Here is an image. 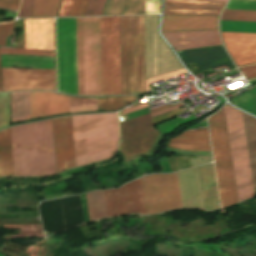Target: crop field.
<instances>
[{"label": "crop field", "instance_id": "crop-field-1", "mask_svg": "<svg viewBox=\"0 0 256 256\" xmlns=\"http://www.w3.org/2000/svg\"><path fill=\"white\" fill-rule=\"evenodd\" d=\"M15 176L56 174L52 119L11 128Z\"/></svg>", "mask_w": 256, "mask_h": 256}, {"label": "crop field", "instance_id": "crop-field-2", "mask_svg": "<svg viewBox=\"0 0 256 256\" xmlns=\"http://www.w3.org/2000/svg\"><path fill=\"white\" fill-rule=\"evenodd\" d=\"M76 167L112 158L119 131L116 113L72 116Z\"/></svg>", "mask_w": 256, "mask_h": 256}, {"label": "crop field", "instance_id": "crop-field-3", "mask_svg": "<svg viewBox=\"0 0 256 256\" xmlns=\"http://www.w3.org/2000/svg\"><path fill=\"white\" fill-rule=\"evenodd\" d=\"M122 95L145 92L143 16L119 17Z\"/></svg>", "mask_w": 256, "mask_h": 256}, {"label": "crop field", "instance_id": "crop-field-4", "mask_svg": "<svg viewBox=\"0 0 256 256\" xmlns=\"http://www.w3.org/2000/svg\"><path fill=\"white\" fill-rule=\"evenodd\" d=\"M78 95H102L99 18H76Z\"/></svg>", "mask_w": 256, "mask_h": 256}, {"label": "crop field", "instance_id": "crop-field-5", "mask_svg": "<svg viewBox=\"0 0 256 256\" xmlns=\"http://www.w3.org/2000/svg\"><path fill=\"white\" fill-rule=\"evenodd\" d=\"M222 207L238 202L223 108L208 119Z\"/></svg>", "mask_w": 256, "mask_h": 256}, {"label": "crop field", "instance_id": "crop-field-6", "mask_svg": "<svg viewBox=\"0 0 256 256\" xmlns=\"http://www.w3.org/2000/svg\"><path fill=\"white\" fill-rule=\"evenodd\" d=\"M239 202L255 195L242 113L224 106Z\"/></svg>", "mask_w": 256, "mask_h": 256}, {"label": "crop field", "instance_id": "crop-field-7", "mask_svg": "<svg viewBox=\"0 0 256 256\" xmlns=\"http://www.w3.org/2000/svg\"><path fill=\"white\" fill-rule=\"evenodd\" d=\"M58 91L77 95L75 18L56 19Z\"/></svg>", "mask_w": 256, "mask_h": 256}, {"label": "crop field", "instance_id": "crop-field-8", "mask_svg": "<svg viewBox=\"0 0 256 256\" xmlns=\"http://www.w3.org/2000/svg\"><path fill=\"white\" fill-rule=\"evenodd\" d=\"M103 95L121 94L118 17H100Z\"/></svg>", "mask_w": 256, "mask_h": 256}, {"label": "crop field", "instance_id": "crop-field-9", "mask_svg": "<svg viewBox=\"0 0 256 256\" xmlns=\"http://www.w3.org/2000/svg\"><path fill=\"white\" fill-rule=\"evenodd\" d=\"M141 181L147 214L182 208L176 173L152 174Z\"/></svg>", "mask_w": 256, "mask_h": 256}, {"label": "crop field", "instance_id": "crop-field-10", "mask_svg": "<svg viewBox=\"0 0 256 256\" xmlns=\"http://www.w3.org/2000/svg\"><path fill=\"white\" fill-rule=\"evenodd\" d=\"M167 107L170 105L151 109L150 113ZM150 113L121 123L122 144L120 150L124 157L149 150L160 135V132L152 125Z\"/></svg>", "mask_w": 256, "mask_h": 256}, {"label": "crop field", "instance_id": "crop-field-11", "mask_svg": "<svg viewBox=\"0 0 256 256\" xmlns=\"http://www.w3.org/2000/svg\"><path fill=\"white\" fill-rule=\"evenodd\" d=\"M3 91H55L54 70L2 68Z\"/></svg>", "mask_w": 256, "mask_h": 256}, {"label": "crop field", "instance_id": "crop-field-12", "mask_svg": "<svg viewBox=\"0 0 256 256\" xmlns=\"http://www.w3.org/2000/svg\"><path fill=\"white\" fill-rule=\"evenodd\" d=\"M105 194L109 217L125 213L146 215L140 178Z\"/></svg>", "mask_w": 256, "mask_h": 256}, {"label": "crop field", "instance_id": "crop-field-13", "mask_svg": "<svg viewBox=\"0 0 256 256\" xmlns=\"http://www.w3.org/2000/svg\"><path fill=\"white\" fill-rule=\"evenodd\" d=\"M58 173L75 167L71 116L53 119Z\"/></svg>", "mask_w": 256, "mask_h": 256}, {"label": "crop field", "instance_id": "crop-field-14", "mask_svg": "<svg viewBox=\"0 0 256 256\" xmlns=\"http://www.w3.org/2000/svg\"><path fill=\"white\" fill-rule=\"evenodd\" d=\"M221 35L237 67L256 63V33L221 32Z\"/></svg>", "mask_w": 256, "mask_h": 256}, {"label": "crop field", "instance_id": "crop-field-15", "mask_svg": "<svg viewBox=\"0 0 256 256\" xmlns=\"http://www.w3.org/2000/svg\"><path fill=\"white\" fill-rule=\"evenodd\" d=\"M177 53L185 63L196 62L201 71L224 64H226L230 70L234 69L222 45L179 51Z\"/></svg>", "mask_w": 256, "mask_h": 256}, {"label": "crop field", "instance_id": "crop-field-16", "mask_svg": "<svg viewBox=\"0 0 256 256\" xmlns=\"http://www.w3.org/2000/svg\"><path fill=\"white\" fill-rule=\"evenodd\" d=\"M31 118L69 112L68 97L52 92H30Z\"/></svg>", "mask_w": 256, "mask_h": 256}, {"label": "crop field", "instance_id": "crop-field-17", "mask_svg": "<svg viewBox=\"0 0 256 256\" xmlns=\"http://www.w3.org/2000/svg\"><path fill=\"white\" fill-rule=\"evenodd\" d=\"M26 48L54 50L53 19L25 20Z\"/></svg>", "mask_w": 256, "mask_h": 256}, {"label": "crop field", "instance_id": "crop-field-18", "mask_svg": "<svg viewBox=\"0 0 256 256\" xmlns=\"http://www.w3.org/2000/svg\"><path fill=\"white\" fill-rule=\"evenodd\" d=\"M183 208L204 207L198 167L177 173Z\"/></svg>", "mask_w": 256, "mask_h": 256}, {"label": "crop field", "instance_id": "crop-field-19", "mask_svg": "<svg viewBox=\"0 0 256 256\" xmlns=\"http://www.w3.org/2000/svg\"><path fill=\"white\" fill-rule=\"evenodd\" d=\"M175 50L222 44L218 30L163 33Z\"/></svg>", "mask_w": 256, "mask_h": 256}, {"label": "crop field", "instance_id": "crop-field-20", "mask_svg": "<svg viewBox=\"0 0 256 256\" xmlns=\"http://www.w3.org/2000/svg\"><path fill=\"white\" fill-rule=\"evenodd\" d=\"M224 5L201 0H165L164 14L219 15Z\"/></svg>", "mask_w": 256, "mask_h": 256}, {"label": "crop field", "instance_id": "crop-field-21", "mask_svg": "<svg viewBox=\"0 0 256 256\" xmlns=\"http://www.w3.org/2000/svg\"><path fill=\"white\" fill-rule=\"evenodd\" d=\"M218 29V17L164 15L162 31Z\"/></svg>", "mask_w": 256, "mask_h": 256}, {"label": "crop field", "instance_id": "crop-field-22", "mask_svg": "<svg viewBox=\"0 0 256 256\" xmlns=\"http://www.w3.org/2000/svg\"><path fill=\"white\" fill-rule=\"evenodd\" d=\"M206 210L219 208L213 166L207 164L199 167Z\"/></svg>", "mask_w": 256, "mask_h": 256}, {"label": "crop field", "instance_id": "crop-field-23", "mask_svg": "<svg viewBox=\"0 0 256 256\" xmlns=\"http://www.w3.org/2000/svg\"><path fill=\"white\" fill-rule=\"evenodd\" d=\"M2 67L54 68V58L1 55Z\"/></svg>", "mask_w": 256, "mask_h": 256}, {"label": "crop field", "instance_id": "crop-field-24", "mask_svg": "<svg viewBox=\"0 0 256 256\" xmlns=\"http://www.w3.org/2000/svg\"><path fill=\"white\" fill-rule=\"evenodd\" d=\"M14 176L10 128L0 131V177Z\"/></svg>", "mask_w": 256, "mask_h": 256}, {"label": "crop field", "instance_id": "crop-field-25", "mask_svg": "<svg viewBox=\"0 0 256 256\" xmlns=\"http://www.w3.org/2000/svg\"><path fill=\"white\" fill-rule=\"evenodd\" d=\"M12 122L30 118L29 92L11 93Z\"/></svg>", "mask_w": 256, "mask_h": 256}, {"label": "crop field", "instance_id": "crop-field-26", "mask_svg": "<svg viewBox=\"0 0 256 256\" xmlns=\"http://www.w3.org/2000/svg\"><path fill=\"white\" fill-rule=\"evenodd\" d=\"M90 221L108 217L104 191L86 194Z\"/></svg>", "mask_w": 256, "mask_h": 256}, {"label": "crop field", "instance_id": "crop-field-27", "mask_svg": "<svg viewBox=\"0 0 256 256\" xmlns=\"http://www.w3.org/2000/svg\"><path fill=\"white\" fill-rule=\"evenodd\" d=\"M251 166L256 187V119L243 113Z\"/></svg>", "mask_w": 256, "mask_h": 256}, {"label": "crop field", "instance_id": "crop-field-28", "mask_svg": "<svg viewBox=\"0 0 256 256\" xmlns=\"http://www.w3.org/2000/svg\"><path fill=\"white\" fill-rule=\"evenodd\" d=\"M167 146L188 150L211 151L209 139L173 138Z\"/></svg>", "mask_w": 256, "mask_h": 256}, {"label": "crop field", "instance_id": "crop-field-29", "mask_svg": "<svg viewBox=\"0 0 256 256\" xmlns=\"http://www.w3.org/2000/svg\"><path fill=\"white\" fill-rule=\"evenodd\" d=\"M60 0H35L30 17H55Z\"/></svg>", "mask_w": 256, "mask_h": 256}, {"label": "crop field", "instance_id": "crop-field-30", "mask_svg": "<svg viewBox=\"0 0 256 256\" xmlns=\"http://www.w3.org/2000/svg\"><path fill=\"white\" fill-rule=\"evenodd\" d=\"M136 96L98 99L99 110H117L137 100Z\"/></svg>", "mask_w": 256, "mask_h": 256}, {"label": "crop field", "instance_id": "crop-field-31", "mask_svg": "<svg viewBox=\"0 0 256 256\" xmlns=\"http://www.w3.org/2000/svg\"><path fill=\"white\" fill-rule=\"evenodd\" d=\"M232 102L234 105L256 115V88L240 97H234Z\"/></svg>", "mask_w": 256, "mask_h": 256}, {"label": "crop field", "instance_id": "crop-field-32", "mask_svg": "<svg viewBox=\"0 0 256 256\" xmlns=\"http://www.w3.org/2000/svg\"><path fill=\"white\" fill-rule=\"evenodd\" d=\"M70 113L97 110V99L69 97Z\"/></svg>", "mask_w": 256, "mask_h": 256}, {"label": "crop field", "instance_id": "crop-field-33", "mask_svg": "<svg viewBox=\"0 0 256 256\" xmlns=\"http://www.w3.org/2000/svg\"><path fill=\"white\" fill-rule=\"evenodd\" d=\"M221 20L256 21V12L223 10Z\"/></svg>", "mask_w": 256, "mask_h": 256}, {"label": "crop field", "instance_id": "crop-field-34", "mask_svg": "<svg viewBox=\"0 0 256 256\" xmlns=\"http://www.w3.org/2000/svg\"><path fill=\"white\" fill-rule=\"evenodd\" d=\"M9 125L8 93L0 94V129Z\"/></svg>", "mask_w": 256, "mask_h": 256}, {"label": "crop field", "instance_id": "crop-field-35", "mask_svg": "<svg viewBox=\"0 0 256 256\" xmlns=\"http://www.w3.org/2000/svg\"><path fill=\"white\" fill-rule=\"evenodd\" d=\"M225 9L256 11V0H230Z\"/></svg>", "mask_w": 256, "mask_h": 256}, {"label": "crop field", "instance_id": "crop-field-36", "mask_svg": "<svg viewBox=\"0 0 256 256\" xmlns=\"http://www.w3.org/2000/svg\"><path fill=\"white\" fill-rule=\"evenodd\" d=\"M1 54L13 55H36V56H54V52H41L28 49H4L0 48Z\"/></svg>", "mask_w": 256, "mask_h": 256}, {"label": "crop field", "instance_id": "crop-field-37", "mask_svg": "<svg viewBox=\"0 0 256 256\" xmlns=\"http://www.w3.org/2000/svg\"><path fill=\"white\" fill-rule=\"evenodd\" d=\"M106 0H89L85 16L102 15Z\"/></svg>", "mask_w": 256, "mask_h": 256}, {"label": "crop field", "instance_id": "crop-field-38", "mask_svg": "<svg viewBox=\"0 0 256 256\" xmlns=\"http://www.w3.org/2000/svg\"><path fill=\"white\" fill-rule=\"evenodd\" d=\"M14 33V22L11 24L0 25V45H5L6 36Z\"/></svg>", "mask_w": 256, "mask_h": 256}, {"label": "crop field", "instance_id": "crop-field-39", "mask_svg": "<svg viewBox=\"0 0 256 256\" xmlns=\"http://www.w3.org/2000/svg\"><path fill=\"white\" fill-rule=\"evenodd\" d=\"M88 0H75L71 16H84Z\"/></svg>", "mask_w": 256, "mask_h": 256}, {"label": "crop field", "instance_id": "crop-field-40", "mask_svg": "<svg viewBox=\"0 0 256 256\" xmlns=\"http://www.w3.org/2000/svg\"><path fill=\"white\" fill-rule=\"evenodd\" d=\"M34 0H22L18 18L29 17Z\"/></svg>", "mask_w": 256, "mask_h": 256}, {"label": "crop field", "instance_id": "crop-field-41", "mask_svg": "<svg viewBox=\"0 0 256 256\" xmlns=\"http://www.w3.org/2000/svg\"><path fill=\"white\" fill-rule=\"evenodd\" d=\"M178 137L180 138H197V137H209L208 130L202 129V130H196V131H188L180 134Z\"/></svg>", "mask_w": 256, "mask_h": 256}, {"label": "crop field", "instance_id": "crop-field-42", "mask_svg": "<svg viewBox=\"0 0 256 256\" xmlns=\"http://www.w3.org/2000/svg\"><path fill=\"white\" fill-rule=\"evenodd\" d=\"M160 13V0H146V14Z\"/></svg>", "mask_w": 256, "mask_h": 256}, {"label": "crop field", "instance_id": "crop-field-43", "mask_svg": "<svg viewBox=\"0 0 256 256\" xmlns=\"http://www.w3.org/2000/svg\"><path fill=\"white\" fill-rule=\"evenodd\" d=\"M74 0H62L60 12L58 17L70 16Z\"/></svg>", "mask_w": 256, "mask_h": 256}, {"label": "crop field", "instance_id": "crop-field-44", "mask_svg": "<svg viewBox=\"0 0 256 256\" xmlns=\"http://www.w3.org/2000/svg\"><path fill=\"white\" fill-rule=\"evenodd\" d=\"M20 0H0V8L18 10Z\"/></svg>", "mask_w": 256, "mask_h": 256}, {"label": "crop field", "instance_id": "crop-field-45", "mask_svg": "<svg viewBox=\"0 0 256 256\" xmlns=\"http://www.w3.org/2000/svg\"><path fill=\"white\" fill-rule=\"evenodd\" d=\"M186 71L183 69V70H179V71H176V72H172V73H169V74H165V75H162V76H159V77H155V78H152V79H148L147 80V90L149 89V86H148V83H152V82H155V81H158V80H161V79H168L170 77H173V76H176L178 74H182V73H185Z\"/></svg>", "mask_w": 256, "mask_h": 256}, {"label": "crop field", "instance_id": "crop-field-46", "mask_svg": "<svg viewBox=\"0 0 256 256\" xmlns=\"http://www.w3.org/2000/svg\"><path fill=\"white\" fill-rule=\"evenodd\" d=\"M240 69L245 74L247 79L256 76V66L242 67Z\"/></svg>", "mask_w": 256, "mask_h": 256}, {"label": "crop field", "instance_id": "crop-field-47", "mask_svg": "<svg viewBox=\"0 0 256 256\" xmlns=\"http://www.w3.org/2000/svg\"><path fill=\"white\" fill-rule=\"evenodd\" d=\"M148 106H149V104H148V102H147V103H144V104H141V105H138V106H135V107H132V108H129V109L123 110L121 115H124V114L130 113V112H133V111H136V110H139V109H142V108L148 107Z\"/></svg>", "mask_w": 256, "mask_h": 256}, {"label": "crop field", "instance_id": "crop-field-48", "mask_svg": "<svg viewBox=\"0 0 256 256\" xmlns=\"http://www.w3.org/2000/svg\"><path fill=\"white\" fill-rule=\"evenodd\" d=\"M182 105H183V104L180 103V104H178V105H175L174 107L167 108V109H165V110H163V111L156 112V113H152L151 115H152V117H153V116H156V115H159V114L168 112V111H170V110H173V109H175V108H178V107H180V106H182Z\"/></svg>", "mask_w": 256, "mask_h": 256}, {"label": "crop field", "instance_id": "crop-field-49", "mask_svg": "<svg viewBox=\"0 0 256 256\" xmlns=\"http://www.w3.org/2000/svg\"><path fill=\"white\" fill-rule=\"evenodd\" d=\"M211 1H221V2H227L228 0H211Z\"/></svg>", "mask_w": 256, "mask_h": 256}, {"label": "crop field", "instance_id": "crop-field-50", "mask_svg": "<svg viewBox=\"0 0 256 256\" xmlns=\"http://www.w3.org/2000/svg\"><path fill=\"white\" fill-rule=\"evenodd\" d=\"M0 91H1V87H0Z\"/></svg>", "mask_w": 256, "mask_h": 256}]
</instances>
